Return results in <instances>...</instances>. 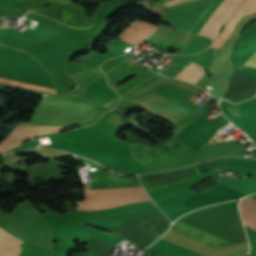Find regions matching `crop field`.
<instances>
[{
  "instance_id": "crop-field-1",
  "label": "crop field",
  "mask_w": 256,
  "mask_h": 256,
  "mask_svg": "<svg viewBox=\"0 0 256 256\" xmlns=\"http://www.w3.org/2000/svg\"><path fill=\"white\" fill-rule=\"evenodd\" d=\"M144 188H108L89 190L85 186L83 202H77V210H99L149 200Z\"/></svg>"
},
{
  "instance_id": "crop-field-2",
  "label": "crop field",
  "mask_w": 256,
  "mask_h": 256,
  "mask_svg": "<svg viewBox=\"0 0 256 256\" xmlns=\"http://www.w3.org/2000/svg\"><path fill=\"white\" fill-rule=\"evenodd\" d=\"M69 128L72 127L16 126L14 130L2 142H0V154L22 144V142L27 141L33 136L59 132Z\"/></svg>"
},
{
  "instance_id": "crop-field-3",
  "label": "crop field",
  "mask_w": 256,
  "mask_h": 256,
  "mask_svg": "<svg viewBox=\"0 0 256 256\" xmlns=\"http://www.w3.org/2000/svg\"><path fill=\"white\" fill-rule=\"evenodd\" d=\"M241 1L224 0L198 34L210 36L214 41L222 25L228 20Z\"/></svg>"
},
{
  "instance_id": "crop-field-4",
  "label": "crop field",
  "mask_w": 256,
  "mask_h": 256,
  "mask_svg": "<svg viewBox=\"0 0 256 256\" xmlns=\"http://www.w3.org/2000/svg\"><path fill=\"white\" fill-rule=\"evenodd\" d=\"M158 26L145 21H135L131 23L118 38L128 41L134 45L143 43L152 35Z\"/></svg>"
},
{
  "instance_id": "crop-field-5",
  "label": "crop field",
  "mask_w": 256,
  "mask_h": 256,
  "mask_svg": "<svg viewBox=\"0 0 256 256\" xmlns=\"http://www.w3.org/2000/svg\"><path fill=\"white\" fill-rule=\"evenodd\" d=\"M239 209L245 225L256 230V202L245 197L240 200Z\"/></svg>"
},
{
  "instance_id": "crop-field-6",
  "label": "crop field",
  "mask_w": 256,
  "mask_h": 256,
  "mask_svg": "<svg viewBox=\"0 0 256 256\" xmlns=\"http://www.w3.org/2000/svg\"><path fill=\"white\" fill-rule=\"evenodd\" d=\"M203 74L204 68L191 62L182 71H180L175 78L195 84Z\"/></svg>"
},
{
  "instance_id": "crop-field-7",
  "label": "crop field",
  "mask_w": 256,
  "mask_h": 256,
  "mask_svg": "<svg viewBox=\"0 0 256 256\" xmlns=\"http://www.w3.org/2000/svg\"><path fill=\"white\" fill-rule=\"evenodd\" d=\"M21 243L23 242L16 239L8 231L0 227V253L11 249Z\"/></svg>"
},
{
  "instance_id": "crop-field-8",
  "label": "crop field",
  "mask_w": 256,
  "mask_h": 256,
  "mask_svg": "<svg viewBox=\"0 0 256 256\" xmlns=\"http://www.w3.org/2000/svg\"><path fill=\"white\" fill-rule=\"evenodd\" d=\"M204 113H206L203 109H198L194 113H192L190 116H188L186 119H184L182 122H180L178 125L174 127L172 130V135L178 134L180 131H182L184 128H186L188 125H190L192 122H194L196 119H198L200 116H202Z\"/></svg>"
},
{
  "instance_id": "crop-field-9",
  "label": "crop field",
  "mask_w": 256,
  "mask_h": 256,
  "mask_svg": "<svg viewBox=\"0 0 256 256\" xmlns=\"http://www.w3.org/2000/svg\"><path fill=\"white\" fill-rule=\"evenodd\" d=\"M0 82L56 94L55 90H53V89L39 87V86H35V85H30V84H25V83H21V82L12 81V80L0 78Z\"/></svg>"
},
{
  "instance_id": "crop-field-10",
  "label": "crop field",
  "mask_w": 256,
  "mask_h": 256,
  "mask_svg": "<svg viewBox=\"0 0 256 256\" xmlns=\"http://www.w3.org/2000/svg\"><path fill=\"white\" fill-rule=\"evenodd\" d=\"M20 249L21 248L19 246H17L15 248H13V249H11V250L1 254L0 256H18L19 253H20Z\"/></svg>"
},
{
  "instance_id": "crop-field-11",
  "label": "crop field",
  "mask_w": 256,
  "mask_h": 256,
  "mask_svg": "<svg viewBox=\"0 0 256 256\" xmlns=\"http://www.w3.org/2000/svg\"><path fill=\"white\" fill-rule=\"evenodd\" d=\"M245 65L256 68V52L247 60Z\"/></svg>"
},
{
  "instance_id": "crop-field-12",
  "label": "crop field",
  "mask_w": 256,
  "mask_h": 256,
  "mask_svg": "<svg viewBox=\"0 0 256 256\" xmlns=\"http://www.w3.org/2000/svg\"><path fill=\"white\" fill-rule=\"evenodd\" d=\"M183 1H189V0H168L163 2L164 4L168 5L169 7L179 3V2H183Z\"/></svg>"
}]
</instances>
